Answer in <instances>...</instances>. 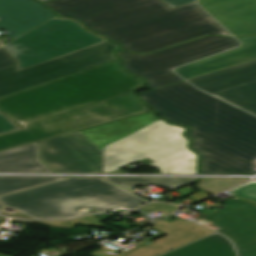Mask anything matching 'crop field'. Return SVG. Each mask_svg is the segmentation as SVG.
Listing matches in <instances>:
<instances>
[{"instance_id": "11", "label": "crop field", "mask_w": 256, "mask_h": 256, "mask_svg": "<svg viewBox=\"0 0 256 256\" xmlns=\"http://www.w3.org/2000/svg\"><path fill=\"white\" fill-rule=\"evenodd\" d=\"M226 203L229 206L213 213L210 221L233 241L239 256H256V206L236 198Z\"/></svg>"}, {"instance_id": "4", "label": "crop field", "mask_w": 256, "mask_h": 256, "mask_svg": "<svg viewBox=\"0 0 256 256\" xmlns=\"http://www.w3.org/2000/svg\"><path fill=\"white\" fill-rule=\"evenodd\" d=\"M4 207L20 212L0 214L21 218L63 219L89 211L129 210L146 200L101 178H66L0 197Z\"/></svg>"}, {"instance_id": "14", "label": "crop field", "mask_w": 256, "mask_h": 256, "mask_svg": "<svg viewBox=\"0 0 256 256\" xmlns=\"http://www.w3.org/2000/svg\"><path fill=\"white\" fill-rule=\"evenodd\" d=\"M237 39L243 43L242 47L177 68L175 71L188 79L256 59V36Z\"/></svg>"}, {"instance_id": "13", "label": "crop field", "mask_w": 256, "mask_h": 256, "mask_svg": "<svg viewBox=\"0 0 256 256\" xmlns=\"http://www.w3.org/2000/svg\"><path fill=\"white\" fill-rule=\"evenodd\" d=\"M55 17L34 0H0V29L16 38Z\"/></svg>"}, {"instance_id": "8", "label": "crop field", "mask_w": 256, "mask_h": 256, "mask_svg": "<svg viewBox=\"0 0 256 256\" xmlns=\"http://www.w3.org/2000/svg\"><path fill=\"white\" fill-rule=\"evenodd\" d=\"M119 45L106 41L61 58L18 71V64L0 70V97L88 68L117 60Z\"/></svg>"}, {"instance_id": "12", "label": "crop field", "mask_w": 256, "mask_h": 256, "mask_svg": "<svg viewBox=\"0 0 256 256\" xmlns=\"http://www.w3.org/2000/svg\"><path fill=\"white\" fill-rule=\"evenodd\" d=\"M234 36L256 34V0H199Z\"/></svg>"}, {"instance_id": "19", "label": "crop field", "mask_w": 256, "mask_h": 256, "mask_svg": "<svg viewBox=\"0 0 256 256\" xmlns=\"http://www.w3.org/2000/svg\"><path fill=\"white\" fill-rule=\"evenodd\" d=\"M107 180L116 183L120 186L130 189L134 185H145L154 183L165 187L166 189L174 190L185 184L194 183L197 179H168V178H107Z\"/></svg>"}, {"instance_id": "23", "label": "crop field", "mask_w": 256, "mask_h": 256, "mask_svg": "<svg viewBox=\"0 0 256 256\" xmlns=\"http://www.w3.org/2000/svg\"><path fill=\"white\" fill-rule=\"evenodd\" d=\"M20 129L10 119H8L2 112L0 113V134Z\"/></svg>"}, {"instance_id": "2", "label": "crop field", "mask_w": 256, "mask_h": 256, "mask_svg": "<svg viewBox=\"0 0 256 256\" xmlns=\"http://www.w3.org/2000/svg\"><path fill=\"white\" fill-rule=\"evenodd\" d=\"M170 122L191 128L192 148L201 153L202 173L256 172V117L206 95L187 82L141 93Z\"/></svg>"}, {"instance_id": "5", "label": "crop field", "mask_w": 256, "mask_h": 256, "mask_svg": "<svg viewBox=\"0 0 256 256\" xmlns=\"http://www.w3.org/2000/svg\"><path fill=\"white\" fill-rule=\"evenodd\" d=\"M186 129L158 120L155 123L104 147L105 172L151 158L161 173H196L197 155L187 148L182 135ZM108 151V152H107Z\"/></svg>"}, {"instance_id": "3", "label": "crop field", "mask_w": 256, "mask_h": 256, "mask_svg": "<svg viewBox=\"0 0 256 256\" xmlns=\"http://www.w3.org/2000/svg\"><path fill=\"white\" fill-rule=\"evenodd\" d=\"M92 31L145 54L202 35L230 36L195 3L171 9L160 0H55L43 3Z\"/></svg>"}, {"instance_id": "25", "label": "crop field", "mask_w": 256, "mask_h": 256, "mask_svg": "<svg viewBox=\"0 0 256 256\" xmlns=\"http://www.w3.org/2000/svg\"><path fill=\"white\" fill-rule=\"evenodd\" d=\"M162 1H164L171 8H174V7L185 5V4H188V3H192L196 0H162Z\"/></svg>"}, {"instance_id": "28", "label": "crop field", "mask_w": 256, "mask_h": 256, "mask_svg": "<svg viewBox=\"0 0 256 256\" xmlns=\"http://www.w3.org/2000/svg\"><path fill=\"white\" fill-rule=\"evenodd\" d=\"M39 1L43 2V1H47V0H39Z\"/></svg>"}, {"instance_id": "7", "label": "crop field", "mask_w": 256, "mask_h": 256, "mask_svg": "<svg viewBox=\"0 0 256 256\" xmlns=\"http://www.w3.org/2000/svg\"><path fill=\"white\" fill-rule=\"evenodd\" d=\"M240 45L236 40L209 35L148 55L116 51L122 66L132 74L143 77L149 89L182 81L171 72L173 67Z\"/></svg>"}, {"instance_id": "9", "label": "crop field", "mask_w": 256, "mask_h": 256, "mask_svg": "<svg viewBox=\"0 0 256 256\" xmlns=\"http://www.w3.org/2000/svg\"><path fill=\"white\" fill-rule=\"evenodd\" d=\"M39 144L43 162L55 173H103L102 151L79 131Z\"/></svg>"}, {"instance_id": "26", "label": "crop field", "mask_w": 256, "mask_h": 256, "mask_svg": "<svg viewBox=\"0 0 256 256\" xmlns=\"http://www.w3.org/2000/svg\"><path fill=\"white\" fill-rule=\"evenodd\" d=\"M178 192L181 193L182 195L186 196V195L190 194L191 192H193V190L184 188L182 190H179Z\"/></svg>"}, {"instance_id": "6", "label": "crop field", "mask_w": 256, "mask_h": 256, "mask_svg": "<svg viewBox=\"0 0 256 256\" xmlns=\"http://www.w3.org/2000/svg\"><path fill=\"white\" fill-rule=\"evenodd\" d=\"M106 41L75 21L56 17L3 47L19 62V70Z\"/></svg>"}, {"instance_id": "18", "label": "crop field", "mask_w": 256, "mask_h": 256, "mask_svg": "<svg viewBox=\"0 0 256 256\" xmlns=\"http://www.w3.org/2000/svg\"><path fill=\"white\" fill-rule=\"evenodd\" d=\"M64 178L58 177H0V196L39 186ZM4 209L0 203V210Z\"/></svg>"}, {"instance_id": "10", "label": "crop field", "mask_w": 256, "mask_h": 256, "mask_svg": "<svg viewBox=\"0 0 256 256\" xmlns=\"http://www.w3.org/2000/svg\"><path fill=\"white\" fill-rule=\"evenodd\" d=\"M188 81L196 87L256 115V60Z\"/></svg>"}, {"instance_id": "15", "label": "crop field", "mask_w": 256, "mask_h": 256, "mask_svg": "<svg viewBox=\"0 0 256 256\" xmlns=\"http://www.w3.org/2000/svg\"><path fill=\"white\" fill-rule=\"evenodd\" d=\"M155 114L147 113L121 121L80 131L98 147L115 142L156 121Z\"/></svg>"}, {"instance_id": "22", "label": "crop field", "mask_w": 256, "mask_h": 256, "mask_svg": "<svg viewBox=\"0 0 256 256\" xmlns=\"http://www.w3.org/2000/svg\"><path fill=\"white\" fill-rule=\"evenodd\" d=\"M228 192L234 196L250 199L256 202V181H251Z\"/></svg>"}, {"instance_id": "16", "label": "crop field", "mask_w": 256, "mask_h": 256, "mask_svg": "<svg viewBox=\"0 0 256 256\" xmlns=\"http://www.w3.org/2000/svg\"><path fill=\"white\" fill-rule=\"evenodd\" d=\"M0 172H51L38 160L37 144L0 153Z\"/></svg>"}, {"instance_id": "24", "label": "crop field", "mask_w": 256, "mask_h": 256, "mask_svg": "<svg viewBox=\"0 0 256 256\" xmlns=\"http://www.w3.org/2000/svg\"><path fill=\"white\" fill-rule=\"evenodd\" d=\"M18 62L12 58L3 47L0 48V69L12 66Z\"/></svg>"}, {"instance_id": "20", "label": "crop field", "mask_w": 256, "mask_h": 256, "mask_svg": "<svg viewBox=\"0 0 256 256\" xmlns=\"http://www.w3.org/2000/svg\"><path fill=\"white\" fill-rule=\"evenodd\" d=\"M243 180L246 179H201L198 188L215 194Z\"/></svg>"}, {"instance_id": "1", "label": "crop field", "mask_w": 256, "mask_h": 256, "mask_svg": "<svg viewBox=\"0 0 256 256\" xmlns=\"http://www.w3.org/2000/svg\"><path fill=\"white\" fill-rule=\"evenodd\" d=\"M120 60L0 99L24 129L0 136V150L149 111L136 97L144 85Z\"/></svg>"}, {"instance_id": "21", "label": "crop field", "mask_w": 256, "mask_h": 256, "mask_svg": "<svg viewBox=\"0 0 256 256\" xmlns=\"http://www.w3.org/2000/svg\"><path fill=\"white\" fill-rule=\"evenodd\" d=\"M11 220L16 222H41V223L45 222V221H21V220H15V219H11ZM75 222L85 224V225H98V226L104 227L103 225L100 224V220L93 215H88L72 221L48 222L45 225L58 227V228H74Z\"/></svg>"}, {"instance_id": "27", "label": "crop field", "mask_w": 256, "mask_h": 256, "mask_svg": "<svg viewBox=\"0 0 256 256\" xmlns=\"http://www.w3.org/2000/svg\"><path fill=\"white\" fill-rule=\"evenodd\" d=\"M0 220H7L5 217H0Z\"/></svg>"}, {"instance_id": "17", "label": "crop field", "mask_w": 256, "mask_h": 256, "mask_svg": "<svg viewBox=\"0 0 256 256\" xmlns=\"http://www.w3.org/2000/svg\"><path fill=\"white\" fill-rule=\"evenodd\" d=\"M162 256H236L229 240L213 234Z\"/></svg>"}]
</instances>
